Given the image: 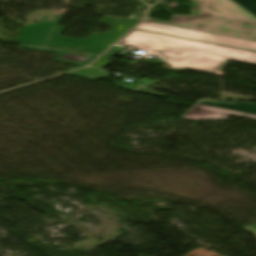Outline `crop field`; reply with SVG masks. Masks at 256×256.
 <instances>
[{
	"label": "crop field",
	"mask_w": 256,
	"mask_h": 256,
	"mask_svg": "<svg viewBox=\"0 0 256 256\" xmlns=\"http://www.w3.org/2000/svg\"><path fill=\"white\" fill-rule=\"evenodd\" d=\"M120 45L160 52L175 67L216 72L226 59L256 63V52L134 30Z\"/></svg>",
	"instance_id": "8a807250"
},
{
	"label": "crop field",
	"mask_w": 256,
	"mask_h": 256,
	"mask_svg": "<svg viewBox=\"0 0 256 256\" xmlns=\"http://www.w3.org/2000/svg\"><path fill=\"white\" fill-rule=\"evenodd\" d=\"M191 16L173 15L170 22H146L191 29L256 42V18L230 0H188Z\"/></svg>",
	"instance_id": "ac0d7876"
},
{
	"label": "crop field",
	"mask_w": 256,
	"mask_h": 256,
	"mask_svg": "<svg viewBox=\"0 0 256 256\" xmlns=\"http://www.w3.org/2000/svg\"><path fill=\"white\" fill-rule=\"evenodd\" d=\"M100 23L111 24L112 30L105 34L93 33L89 39L74 38L68 39L59 37L63 28L56 27L47 46L60 47L65 45L71 50L84 51L100 54L122 37L130 28L136 25L139 21L136 20H119L109 17L100 19Z\"/></svg>",
	"instance_id": "34b2d1b8"
},
{
	"label": "crop field",
	"mask_w": 256,
	"mask_h": 256,
	"mask_svg": "<svg viewBox=\"0 0 256 256\" xmlns=\"http://www.w3.org/2000/svg\"><path fill=\"white\" fill-rule=\"evenodd\" d=\"M136 28L153 31V32L164 33V34L175 35V36H181V37H186L191 39H197L202 41H208V42H213L218 44L235 46V47H240L245 49L256 50L255 42L244 41V40L223 37V36H218L213 34L179 29V28L168 27V26L157 25V24L146 23V22H143Z\"/></svg>",
	"instance_id": "412701ff"
},
{
	"label": "crop field",
	"mask_w": 256,
	"mask_h": 256,
	"mask_svg": "<svg viewBox=\"0 0 256 256\" xmlns=\"http://www.w3.org/2000/svg\"><path fill=\"white\" fill-rule=\"evenodd\" d=\"M60 19L61 17H54L49 22L24 26L17 42L47 45Z\"/></svg>",
	"instance_id": "f4fd0767"
},
{
	"label": "crop field",
	"mask_w": 256,
	"mask_h": 256,
	"mask_svg": "<svg viewBox=\"0 0 256 256\" xmlns=\"http://www.w3.org/2000/svg\"><path fill=\"white\" fill-rule=\"evenodd\" d=\"M230 115L245 117V118H250V119H256V115L234 112V111L218 109V108L202 106V105H196V104H194L182 116V118H186V119H190V120H194V121H202V120L228 118Z\"/></svg>",
	"instance_id": "dd49c442"
},
{
	"label": "crop field",
	"mask_w": 256,
	"mask_h": 256,
	"mask_svg": "<svg viewBox=\"0 0 256 256\" xmlns=\"http://www.w3.org/2000/svg\"><path fill=\"white\" fill-rule=\"evenodd\" d=\"M19 48L58 53L60 55L55 59V61H59V62H63V63H67V64L79 66V67H82L88 64L96 56H98L96 54H90V53L67 51L64 49H55V48L25 45V44H20Z\"/></svg>",
	"instance_id": "e52e79f7"
},
{
	"label": "crop field",
	"mask_w": 256,
	"mask_h": 256,
	"mask_svg": "<svg viewBox=\"0 0 256 256\" xmlns=\"http://www.w3.org/2000/svg\"><path fill=\"white\" fill-rule=\"evenodd\" d=\"M200 104L211 105V106L256 114V104H252V103H225V102H215V101H201Z\"/></svg>",
	"instance_id": "d8731c3e"
},
{
	"label": "crop field",
	"mask_w": 256,
	"mask_h": 256,
	"mask_svg": "<svg viewBox=\"0 0 256 256\" xmlns=\"http://www.w3.org/2000/svg\"><path fill=\"white\" fill-rule=\"evenodd\" d=\"M67 75L83 77V78H88V79H93V80H97V79L109 76L108 73L98 70V69H95V68H92V67L85 68L80 71L70 73Z\"/></svg>",
	"instance_id": "5a996713"
},
{
	"label": "crop field",
	"mask_w": 256,
	"mask_h": 256,
	"mask_svg": "<svg viewBox=\"0 0 256 256\" xmlns=\"http://www.w3.org/2000/svg\"><path fill=\"white\" fill-rule=\"evenodd\" d=\"M237 3L245 7L247 10L256 15V0H235Z\"/></svg>",
	"instance_id": "3316defc"
},
{
	"label": "crop field",
	"mask_w": 256,
	"mask_h": 256,
	"mask_svg": "<svg viewBox=\"0 0 256 256\" xmlns=\"http://www.w3.org/2000/svg\"><path fill=\"white\" fill-rule=\"evenodd\" d=\"M109 57L103 56L100 59H98L92 66L103 68L105 65L109 64L110 62L107 61Z\"/></svg>",
	"instance_id": "28ad6ade"
},
{
	"label": "crop field",
	"mask_w": 256,
	"mask_h": 256,
	"mask_svg": "<svg viewBox=\"0 0 256 256\" xmlns=\"http://www.w3.org/2000/svg\"><path fill=\"white\" fill-rule=\"evenodd\" d=\"M243 229L256 235V222L249 226L244 227Z\"/></svg>",
	"instance_id": "d1516ede"
},
{
	"label": "crop field",
	"mask_w": 256,
	"mask_h": 256,
	"mask_svg": "<svg viewBox=\"0 0 256 256\" xmlns=\"http://www.w3.org/2000/svg\"><path fill=\"white\" fill-rule=\"evenodd\" d=\"M117 48H118V47L113 48L111 51H109V52H108L107 54H105V55H107V56H113V54L117 53V52H114Z\"/></svg>",
	"instance_id": "22f410ed"
}]
</instances>
